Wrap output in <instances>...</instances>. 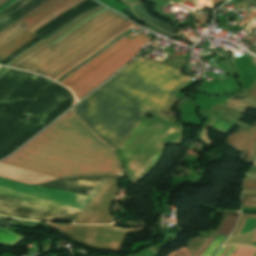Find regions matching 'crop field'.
<instances>
[{
  "mask_svg": "<svg viewBox=\"0 0 256 256\" xmlns=\"http://www.w3.org/2000/svg\"><path fill=\"white\" fill-rule=\"evenodd\" d=\"M189 79L179 69L140 57L71 110L114 151L142 115L163 111Z\"/></svg>",
  "mask_w": 256,
  "mask_h": 256,
  "instance_id": "8a807250",
  "label": "crop field"
},
{
  "mask_svg": "<svg viewBox=\"0 0 256 256\" xmlns=\"http://www.w3.org/2000/svg\"><path fill=\"white\" fill-rule=\"evenodd\" d=\"M0 163L58 178L123 172L114 153L70 111Z\"/></svg>",
  "mask_w": 256,
  "mask_h": 256,
  "instance_id": "ac0d7876",
  "label": "crop field"
},
{
  "mask_svg": "<svg viewBox=\"0 0 256 256\" xmlns=\"http://www.w3.org/2000/svg\"><path fill=\"white\" fill-rule=\"evenodd\" d=\"M184 131L156 116L141 117L114 151L134 186L157 166L167 145H182Z\"/></svg>",
  "mask_w": 256,
  "mask_h": 256,
  "instance_id": "34b2d1b8",
  "label": "crop field"
},
{
  "mask_svg": "<svg viewBox=\"0 0 256 256\" xmlns=\"http://www.w3.org/2000/svg\"><path fill=\"white\" fill-rule=\"evenodd\" d=\"M151 39L141 33L131 39L117 51L105 58L79 79L68 85L77 99L82 98L109 76H111L122 65L130 61L137 51Z\"/></svg>",
  "mask_w": 256,
  "mask_h": 256,
  "instance_id": "412701ff",
  "label": "crop field"
},
{
  "mask_svg": "<svg viewBox=\"0 0 256 256\" xmlns=\"http://www.w3.org/2000/svg\"><path fill=\"white\" fill-rule=\"evenodd\" d=\"M46 224L81 244L111 251H119L128 234L147 228Z\"/></svg>",
  "mask_w": 256,
  "mask_h": 256,
  "instance_id": "f4fd0767",
  "label": "crop field"
},
{
  "mask_svg": "<svg viewBox=\"0 0 256 256\" xmlns=\"http://www.w3.org/2000/svg\"><path fill=\"white\" fill-rule=\"evenodd\" d=\"M0 191L81 209L89 196L42 185H24L0 178Z\"/></svg>",
  "mask_w": 256,
  "mask_h": 256,
  "instance_id": "dd49c442",
  "label": "crop field"
},
{
  "mask_svg": "<svg viewBox=\"0 0 256 256\" xmlns=\"http://www.w3.org/2000/svg\"><path fill=\"white\" fill-rule=\"evenodd\" d=\"M120 16L119 14L115 12H110L106 14L105 16L95 20L90 25H88L86 28H84L82 31H80L75 36L71 37L67 41H65L63 44L58 46L57 48H52L48 44L40 48L39 50L35 51L33 54H31L29 57H27L25 60H23L21 63L15 66V68L28 70L31 72H35L37 69L48 63L49 61L53 60L57 56L61 55L68 49L72 48L74 45L79 43L81 40H83L85 37H87L89 34H91L94 30H96L98 27L102 26L106 22ZM38 71V70H37Z\"/></svg>",
  "mask_w": 256,
  "mask_h": 256,
  "instance_id": "e52e79f7",
  "label": "crop field"
},
{
  "mask_svg": "<svg viewBox=\"0 0 256 256\" xmlns=\"http://www.w3.org/2000/svg\"><path fill=\"white\" fill-rule=\"evenodd\" d=\"M117 178L110 176L100 191L92 198L85 209L78 216V224H114L111 217L110 203L117 191Z\"/></svg>",
  "mask_w": 256,
  "mask_h": 256,
  "instance_id": "d8731c3e",
  "label": "crop field"
},
{
  "mask_svg": "<svg viewBox=\"0 0 256 256\" xmlns=\"http://www.w3.org/2000/svg\"><path fill=\"white\" fill-rule=\"evenodd\" d=\"M127 21L124 17H119L106 25L102 26L95 32H93L91 35H89L87 38H85L83 41H81L79 44H77L75 47L70 49L69 51L65 52L61 56L57 57L50 63H48L46 66L43 68L39 69L35 74L43 75L45 76L47 73L51 72L58 66L62 65L66 61L70 60L74 56L78 55L81 53L85 48H87L89 45L100 39L102 36H104L106 33L109 31L113 30L114 28L118 27L122 23ZM86 50V49H85Z\"/></svg>",
  "mask_w": 256,
  "mask_h": 256,
  "instance_id": "5a996713",
  "label": "crop field"
},
{
  "mask_svg": "<svg viewBox=\"0 0 256 256\" xmlns=\"http://www.w3.org/2000/svg\"><path fill=\"white\" fill-rule=\"evenodd\" d=\"M70 0H52L45 6L41 7L34 13H32L30 16H28L26 19L21 21L18 25L28 29L29 27L33 26L37 22H39L41 19L45 18L47 15H49L52 11L56 10L57 8L61 7L62 5L66 4ZM25 29L15 26L11 30L5 32L0 36V47L13 38H15L17 35L22 33Z\"/></svg>",
  "mask_w": 256,
  "mask_h": 256,
  "instance_id": "3316defc",
  "label": "crop field"
},
{
  "mask_svg": "<svg viewBox=\"0 0 256 256\" xmlns=\"http://www.w3.org/2000/svg\"><path fill=\"white\" fill-rule=\"evenodd\" d=\"M255 131L256 122L249 131L239 128L235 133L228 136L226 142L235 151L242 152L241 157L245 158L250 140Z\"/></svg>",
  "mask_w": 256,
  "mask_h": 256,
  "instance_id": "28ad6ade",
  "label": "crop field"
},
{
  "mask_svg": "<svg viewBox=\"0 0 256 256\" xmlns=\"http://www.w3.org/2000/svg\"><path fill=\"white\" fill-rule=\"evenodd\" d=\"M130 25H132V23L128 21V22L124 23L123 25H121L120 27H118V28L114 29L113 31L109 32L103 38H101L100 40H98L97 42L92 44L86 51H84L80 55L74 57L73 59H71L70 61H68L67 63H65L61 67H59L58 69H56L53 72H51L50 74H48L46 77H49L51 79L55 78L58 74H60L61 72H63L64 70H66L67 68L72 66L74 63H76L77 61H79L80 59H82L83 57L88 55L90 52H92L94 49H96L102 43H104L105 41H107L108 39L113 37L115 34H117L119 31H121L122 29H124V28H126Z\"/></svg>",
  "mask_w": 256,
  "mask_h": 256,
  "instance_id": "d1516ede",
  "label": "crop field"
},
{
  "mask_svg": "<svg viewBox=\"0 0 256 256\" xmlns=\"http://www.w3.org/2000/svg\"><path fill=\"white\" fill-rule=\"evenodd\" d=\"M36 37L35 35L25 31L22 34H20L18 37L4 45L0 48V60H2L4 57H6L9 53L13 52L14 50L21 47L23 44H25L30 39Z\"/></svg>",
  "mask_w": 256,
  "mask_h": 256,
  "instance_id": "22f410ed",
  "label": "crop field"
},
{
  "mask_svg": "<svg viewBox=\"0 0 256 256\" xmlns=\"http://www.w3.org/2000/svg\"><path fill=\"white\" fill-rule=\"evenodd\" d=\"M24 238L10 232L7 230L0 229V243L14 247L17 245L19 242L23 241Z\"/></svg>",
  "mask_w": 256,
  "mask_h": 256,
  "instance_id": "cbeb9de0",
  "label": "crop field"
},
{
  "mask_svg": "<svg viewBox=\"0 0 256 256\" xmlns=\"http://www.w3.org/2000/svg\"><path fill=\"white\" fill-rule=\"evenodd\" d=\"M128 40H130V38H126L125 40H123L121 43H119L117 46H115L113 49H111L109 52H107L105 55H103L101 58H99L98 60H96L94 63H92L90 66H88L86 69H84L83 71L79 72L78 74H76L74 77H72L70 80H68L67 82H65L63 85L67 86L70 82H72L74 79L78 78L79 76H81L83 73H85L87 70H89L90 68H92L94 65H96L98 62H100L101 60H103L105 57H107L108 55H110L112 52H114L116 49H118L120 46H122L124 43H126Z\"/></svg>",
  "mask_w": 256,
  "mask_h": 256,
  "instance_id": "5142ce71",
  "label": "crop field"
},
{
  "mask_svg": "<svg viewBox=\"0 0 256 256\" xmlns=\"http://www.w3.org/2000/svg\"><path fill=\"white\" fill-rule=\"evenodd\" d=\"M111 11L110 9H107L105 11H103L102 13L90 18L89 20H87L86 22H84L83 24H81L79 27H77L75 30H73L71 33H69L68 35H66L65 37H63L62 39H60L59 41H57L56 43H54L53 45H51L52 47H57L58 45H60L62 42H64L65 40H67L68 38H70L72 35H74L76 32H78L79 30H81L82 28H84L85 26H87L89 23H91L93 20H95L96 18L106 14L107 12Z\"/></svg>",
  "mask_w": 256,
  "mask_h": 256,
  "instance_id": "d9b57169",
  "label": "crop field"
},
{
  "mask_svg": "<svg viewBox=\"0 0 256 256\" xmlns=\"http://www.w3.org/2000/svg\"><path fill=\"white\" fill-rule=\"evenodd\" d=\"M129 31V30H128ZM127 31V32H128ZM127 32L121 34L120 36H118L117 38H115L114 40H112L110 43H108L106 46H104L103 48H101L100 50H98L96 53H94L93 55H91L89 58H87L86 60H84L82 63H80L79 65H77L75 68H73L71 71H69L67 74H65L64 76H62L61 78H59L57 80V82H60L63 78H65L68 74H70L71 72L75 71L76 69H78L79 67H81L83 64H85L86 62H88L89 60H91L93 57H95L96 55H98L99 53H101L103 50H105L107 47H109L111 44H113L115 41L119 40L120 38H122Z\"/></svg>",
  "mask_w": 256,
  "mask_h": 256,
  "instance_id": "733c2abd",
  "label": "crop field"
},
{
  "mask_svg": "<svg viewBox=\"0 0 256 256\" xmlns=\"http://www.w3.org/2000/svg\"><path fill=\"white\" fill-rule=\"evenodd\" d=\"M238 218L227 216L218 235L228 236L232 231Z\"/></svg>",
  "mask_w": 256,
  "mask_h": 256,
  "instance_id": "4a817a6b",
  "label": "crop field"
},
{
  "mask_svg": "<svg viewBox=\"0 0 256 256\" xmlns=\"http://www.w3.org/2000/svg\"><path fill=\"white\" fill-rule=\"evenodd\" d=\"M230 256H256V248L236 245Z\"/></svg>",
  "mask_w": 256,
  "mask_h": 256,
  "instance_id": "bc2a9ffb",
  "label": "crop field"
},
{
  "mask_svg": "<svg viewBox=\"0 0 256 256\" xmlns=\"http://www.w3.org/2000/svg\"><path fill=\"white\" fill-rule=\"evenodd\" d=\"M210 128L227 134L233 128H235V126H233V125H231L229 123H226V122H224V121H222V120L217 118V120L213 123V125Z\"/></svg>",
  "mask_w": 256,
  "mask_h": 256,
  "instance_id": "214f88e0",
  "label": "crop field"
},
{
  "mask_svg": "<svg viewBox=\"0 0 256 256\" xmlns=\"http://www.w3.org/2000/svg\"><path fill=\"white\" fill-rule=\"evenodd\" d=\"M207 237H195L191 240H189L187 247L191 253V255L203 244V242L206 240Z\"/></svg>",
  "mask_w": 256,
  "mask_h": 256,
  "instance_id": "92a150f3",
  "label": "crop field"
},
{
  "mask_svg": "<svg viewBox=\"0 0 256 256\" xmlns=\"http://www.w3.org/2000/svg\"><path fill=\"white\" fill-rule=\"evenodd\" d=\"M125 38V37H124ZM124 38L120 39L119 41L115 42L113 45H111L108 49H106L104 52H102L101 54H99L98 56H96L94 59H92L91 61H89L88 63H86L84 66H82L81 68H79L78 70H76L75 72H73L71 75H69L68 77H66L64 80H62L60 83L63 84L66 80H68L69 78H71L73 75H75L76 73H78L79 71H81L83 68H85L86 66H88L89 64H91L93 61H95L96 59H98L100 56H102L104 53H106L108 50H110L112 47H114L116 44H118L120 41H122Z\"/></svg>",
  "mask_w": 256,
  "mask_h": 256,
  "instance_id": "dafd665d",
  "label": "crop field"
},
{
  "mask_svg": "<svg viewBox=\"0 0 256 256\" xmlns=\"http://www.w3.org/2000/svg\"><path fill=\"white\" fill-rule=\"evenodd\" d=\"M223 239L224 237H217L201 256H211Z\"/></svg>",
  "mask_w": 256,
  "mask_h": 256,
  "instance_id": "00972430",
  "label": "crop field"
},
{
  "mask_svg": "<svg viewBox=\"0 0 256 256\" xmlns=\"http://www.w3.org/2000/svg\"><path fill=\"white\" fill-rule=\"evenodd\" d=\"M135 25L121 31L120 33H118L116 36H114L113 38H111L110 40H108L107 42H105L103 45H105L106 43H108L109 41H111L112 39H114L115 37H117L118 35H120L121 33L125 32L126 30L134 27ZM103 45H101L99 48H101ZM99 48H97L95 51H97ZM95 51H93L91 54H93ZM91 54H89L88 56H90ZM88 56H86L85 58H83L82 60H80L79 62H77L75 65H73L72 67H70L69 69H67L66 71H64L63 73H61L60 75H58L54 80L56 81L59 77H61L62 75H64L65 73H67L69 70H71L73 67H75L77 64H79L80 62H82L84 59H86ZM89 58V57H88Z\"/></svg>",
  "mask_w": 256,
  "mask_h": 256,
  "instance_id": "a9b5d70f",
  "label": "crop field"
},
{
  "mask_svg": "<svg viewBox=\"0 0 256 256\" xmlns=\"http://www.w3.org/2000/svg\"><path fill=\"white\" fill-rule=\"evenodd\" d=\"M240 95H241V94H240ZM240 95L235 96V97H233V98L236 99V100L245 102V103H249V104L256 105V98L243 97V96H240Z\"/></svg>",
  "mask_w": 256,
  "mask_h": 256,
  "instance_id": "4177f3b9",
  "label": "crop field"
},
{
  "mask_svg": "<svg viewBox=\"0 0 256 256\" xmlns=\"http://www.w3.org/2000/svg\"><path fill=\"white\" fill-rule=\"evenodd\" d=\"M168 256H191L189 251L187 250V248H182L178 251L172 252L170 255Z\"/></svg>",
  "mask_w": 256,
  "mask_h": 256,
  "instance_id": "730fd06b",
  "label": "crop field"
},
{
  "mask_svg": "<svg viewBox=\"0 0 256 256\" xmlns=\"http://www.w3.org/2000/svg\"><path fill=\"white\" fill-rule=\"evenodd\" d=\"M227 102L232 103V104H235V105H238V106H241V107H244V108H247V109H249V108L256 109L255 106L248 105V104H245V103L236 101V100H234V99H232V98L228 99Z\"/></svg>",
  "mask_w": 256,
  "mask_h": 256,
  "instance_id": "eef30255",
  "label": "crop field"
},
{
  "mask_svg": "<svg viewBox=\"0 0 256 256\" xmlns=\"http://www.w3.org/2000/svg\"><path fill=\"white\" fill-rule=\"evenodd\" d=\"M242 205L256 206V198L243 197Z\"/></svg>",
  "mask_w": 256,
  "mask_h": 256,
  "instance_id": "ae1a2a85",
  "label": "crop field"
},
{
  "mask_svg": "<svg viewBox=\"0 0 256 256\" xmlns=\"http://www.w3.org/2000/svg\"><path fill=\"white\" fill-rule=\"evenodd\" d=\"M252 1L253 0H243L233 9H244L245 7L249 6Z\"/></svg>",
  "mask_w": 256,
  "mask_h": 256,
  "instance_id": "d3111659",
  "label": "crop field"
},
{
  "mask_svg": "<svg viewBox=\"0 0 256 256\" xmlns=\"http://www.w3.org/2000/svg\"><path fill=\"white\" fill-rule=\"evenodd\" d=\"M16 1L17 0H7V1H5L3 4L0 5V12L5 10L6 8H8L10 5H12Z\"/></svg>",
  "mask_w": 256,
  "mask_h": 256,
  "instance_id": "750c4746",
  "label": "crop field"
},
{
  "mask_svg": "<svg viewBox=\"0 0 256 256\" xmlns=\"http://www.w3.org/2000/svg\"><path fill=\"white\" fill-rule=\"evenodd\" d=\"M243 187L256 188V181L245 180Z\"/></svg>",
  "mask_w": 256,
  "mask_h": 256,
  "instance_id": "bd1437ed",
  "label": "crop field"
},
{
  "mask_svg": "<svg viewBox=\"0 0 256 256\" xmlns=\"http://www.w3.org/2000/svg\"><path fill=\"white\" fill-rule=\"evenodd\" d=\"M255 138H256V132H255V134H254V136H253V138H252V140H251L250 147H249V152H248V156H247L246 162H248V160H249V156H250V153H251V150H252V147H253V143H254Z\"/></svg>",
  "mask_w": 256,
  "mask_h": 256,
  "instance_id": "1d83c4d3",
  "label": "crop field"
},
{
  "mask_svg": "<svg viewBox=\"0 0 256 256\" xmlns=\"http://www.w3.org/2000/svg\"><path fill=\"white\" fill-rule=\"evenodd\" d=\"M254 16H256V11H254L253 13H251L248 17H246L243 21L240 22V26L243 25L244 23H246L248 20H250L251 18H253Z\"/></svg>",
  "mask_w": 256,
  "mask_h": 256,
  "instance_id": "120bbe31",
  "label": "crop field"
},
{
  "mask_svg": "<svg viewBox=\"0 0 256 256\" xmlns=\"http://www.w3.org/2000/svg\"><path fill=\"white\" fill-rule=\"evenodd\" d=\"M210 239H211V237H208V239L205 241V243L202 245V247L197 252H195L192 256H195L198 252H200L205 247V245L208 243V241Z\"/></svg>",
  "mask_w": 256,
  "mask_h": 256,
  "instance_id": "d32e631a",
  "label": "crop field"
},
{
  "mask_svg": "<svg viewBox=\"0 0 256 256\" xmlns=\"http://www.w3.org/2000/svg\"><path fill=\"white\" fill-rule=\"evenodd\" d=\"M245 219H246V218H243V219H242V221H241V223H240V225H239V228H238V230H237V232H236L235 235H238V234L240 233L241 228H242V226H243V223H244Z\"/></svg>",
  "mask_w": 256,
  "mask_h": 256,
  "instance_id": "5866460e",
  "label": "crop field"
},
{
  "mask_svg": "<svg viewBox=\"0 0 256 256\" xmlns=\"http://www.w3.org/2000/svg\"><path fill=\"white\" fill-rule=\"evenodd\" d=\"M255 147H256V140H255L254 147H253V150H252V153H251V156H250V162L249 163H252V161H253Z\"/></svg>",
  "mask_w": 256,
  "mask_h": 256,
  "instance_id": "028f5c9d",
  "label": "crop field"
},
{
  "mask_svg": "<svg viewBox=\"0 0 256 256\" xmlns=\"http://www.w3.org/2000/svg\"><path fill=\"white\" fill-rule=\"evenodd\" d=\"M216 237H213L212 240L207 244V246L197 255L200 256L205 250L206 248L211 244V242L215 239Z\"/></svg>",
  "mask_w": 256,
  "mask_h": 256,
  "instance_id": "e1f06a70",
  "label": "crop field"
},
{
  "mask_svg": "<svg viewBox=\"0 0 256 256\" xmlns=\"http://www.w3.org/2000/svg\"><path fill=\"white\" fill-rule=\"evenodd\" d=\"M225 217H226V216H223V218H222V220H221V223H220V225H219V227H218V230L216 231L215 235L218 234V232H219V230H220V228H221V225H222V223H223Z\"/></svg>",
  "mask_w": 256,
  "mask_h": 256,
  "instance_id": "0bd39190",
  "label": "crop field"
},
{
  "mask_svg": "<svg viewBox=\"0 0 256 256\" xmlns=\"http://www.w3.org/2000/svg\"><path fill=\"white\" fill-rule=\"evenodd\" d=\"M241 217L256 218V215L242 214V216H241Z\"/></svg>",
  "mask_w": 256,
  "mask_h": 256,
  "instance_id": "b80d0937",
  "label": "crop field"
},
{
  "mask_svg": "<svg viewBox=\"0 0 256 256\" xmlns=\"http://www.w3.org/2000/svg\"><path fill=\"white\" fill-rule=\"evenodd\" d=\"M250 246H256V234Z\"/></svg>",
  "mask_w": 256,
  "mask_h": 256,
  "instance_id": "c035e120",
  "label": "crop field"
},
{
  "mask_svg": "<svg viewBox=\"0 0 256 256\" xmlns=\"http://www.w3.org/2000/svg\"><path fill=\"white\" fill-rule=\"evenodd\" d=\"M230 247H231V246L227 247V248L224 250V252H223L220 256H224V255L227 253V251L230 249Z\"/></svg>",
  "mask_w": 256,
  "mask_h": 256,
  "instance_id": "c21b1889",
  "label": "crop field"
},
{
  "mask_svg": "<svg viewBox=\"0 0 256 256\" xmlns=\"http://www.w3.org/2000/svg\"><path fill=\"white\" fill-rule=\"evenodd\" d=\"M249 42L253 43L256 41V35L254 37H252L251 39L248 40Z\"/></svg>",
  "mask_w": 256,
  "mask_h": 256,
  "instance_id": "03da06ac",
  "label": "crop field"
},
{
  "mask_svg": "<svg viewBox=\"0 0 256 256\" xmlns=\"http://www.w3.org/2000/svg\"><path fill=\"white\" fill-rule=\"evenodd\" d=\"M234 247H235V245L232 246V248H231L230 251L226 254V256H229V255H230V253L233 251Z\"/></svg>",
  "mask_w": 256,
  "mask_h": 256,
  "instance_id": "b54c1fbb",
  "label": "crop field"
},
{
  "mask_svg": "<svg viewBox=\"0 0 256 256\" xmlns=\"http://www.w3.org/2000/svg\"><path fill=\"white\" fill-rule=\"evenodd\" d=\"M224 249H225V248H221V249L218 251V253H217L216 256H219V255L223 252Z\"/></svg>",
  "mask_w": 256,
  "mask_h": 256,
  "instance_id": "5d738f31",
  "label": "crop field"
},
{
  "mask_svg": "<svg viewBox=\"0 0 256 256\" xmlns=\"http://www.w3.org/2000/svg\"><path fill=\"white\" fill-rule=\"evenodd\" d=\"M185 1L197 3L198 0H185ZM219 1H221V0H219Z\"/></svg>",
  "mask_w": 256,
  "mask_h": 256,
  "instance_id": "d23c7cc5",
  "label": "crop field"
},
{
  "mask_svg": "<svg viewBox=\"0 0 256 256\" xmlns=\"http://www.w3.org/2000/svg\"><path fill=\"white\" fill-rule=\"evenodd\" d=\"M5 68L0 67V74L4 71Z\"/></svg>",
  "mask_w": 256,
  "mask_h": 256,
  "instance_id": "425ffa30",
  "label": "crop field"
},
{
  "mask_svg": "<svg viewBox=\"0 0 256 256\" xmlns=\"http://www.w3.org/2000/svg\"><path fill=\"white\" fill-rule=\"evenodd\" d=\"M249 173H253V174H256V171H249Z\"/></svg>",
  "mask_w": 256,
  "mask_h": 256,
  "instance_id": "25e5ab78",
  "label": "crop field"
},
{
  "mask_svg": "<svg viewBox=\"0 0 256 256\" xmlns=\"http://www.w3.org/2000/svg\"><path fill=\"white\" fill-rule=\"evenodd\" d=\"M211 232H212V230H209V232L207 233V235H210Z\"/></svg>",
  "mask_w": 256,
  "mask_h": 256,
  "instance_id": "73cf0c24",
  "label": "crop field"
},
{
  "mask_svg": "<svg viewBox=\"0 0 256 256\" xmlns=\"http://www.w3.org/2000/svg\"><path fill=\"white\" fill-rule=\"evenodd\" d=\"M5 0H0V4L3 3Z\"/></svg>",
  "mask_w": 256,
  "mask_h": 256,
  "instance_id": "89e229c0",
  "label": "crop field"
}]
</instances>
